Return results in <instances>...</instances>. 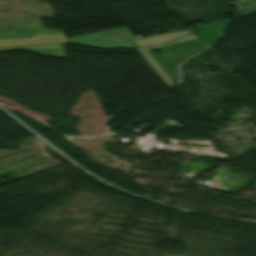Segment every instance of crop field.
I'll return each instance as SVG.
<instances>
[{"instance_id":"1","label":"crop field","mask_w":256,"mask_h":256,"mask_svg":"<svg viewBox=\"0 0 256 256\" xmlns=\"http://www.w3.org/2000/svg\"><path fill=\"white\" fill-rule=\"evenodd\" d=\"M42 43H68L64 34L45 35L37 34L29 39H3L0 40V47L34 45Z\"/></svg>"},{"instance_id":"2","label":"crop field","mask_w":256,"mask_h":256,"mask_svg":"<svg viewBox=\"0 0 256 256\" xmlns=\"http://www.w3.org/2000/svg\"><path fill=\"white\" fill-rule=\"evenodd\" d=\"M19 49H27L37 54L56 57V58H65L62 45H40V46H28V47L4 48V49H0V52L7 51V50H19Z\"/></svg>"},{"instance_id":"3","label":"crop field","mask_w":256,"mask_h":256,"mask_svg":"<svg viewBox=\"0 0 256 256\" xmlns=\"http://www.w3.org/2000/svg\"><path fill=\"white\" fill-rule=\"evenodd\" d=\"M256 2V0H245V1H236V2H231L230 4L235 8H239V7H242V6H245V5H248V4H251V3H254ZM256 10V5H253V6H250V7H247L245 9H242V10H239L238 12L243 15L245 13H248V12H251V11H254Z\"/></svg>"}]
</instances>
